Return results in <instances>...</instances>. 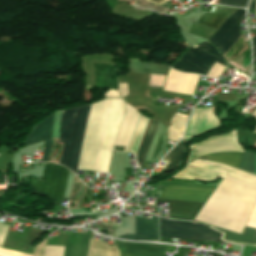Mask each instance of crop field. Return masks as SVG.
Wrapping results in <instances>:
<instances>
[{
    "label": "crop field",
    "instance_id": "crop-field-12",
    "mask_svg": "<svg viewBox=\"0 0 256 256\" xmlns=\"http://www.w3.org/2000/svg\"><path fill=\"white\" fill-rule=\"evenodd\" d=\"M155 202L167 203L169 208L168 218L190 220L198 212L203 203L162 200L156 199Z\"/></svg>",
    "mask_w": 256,
    "mask_h": 256
},
{
    "label": "crop field",
    "instance_id": "crop-field-20",
    "mask_svg": "<svg viewBox=\"0 0 256 256\" xmlns=\"http://www.w3.org/2000/svg\"><path fill=\"white\" fill-rule=\"evenodd\" d=\"M186 140H181L174 148L168 152V156L163 158V161L169 162L162 173L172 171L175 166L181 161L184 154V143Z\"/></svg>",
    "mask_w": 256,
    "mask_h": 256
},
{
    "label": "crop field",
    "instance_id": "crop-field-4",
    "mask_svg": "<svg viewBox=\"0 0 256 256\" xmlns=\"http://www.w3.org/2000/svg\"><path fill=\"white\" fill-rule=\"evenodd\" d=\"M160 237L219 242L221 234L203 224L160 219Z\"/></svg>",
    "mask_w": 256,
    "mask_h": 256
},
{
    "label": "crop field",
    "instance_id": "crop-field-1",
    "mask_svg": "<svg viewBox=\"0 0 256 256\" xmlns=\"http://www.w3.org/2000/svg\"><path fill=\"white\" fill-rule=\"evenodd\" d=\"M123 109L122 99L91 104L77 169L107 172Z\"/></svg>",
    "mask_w": 256,
    "mask_h": 256
},
{
    "label": "crop field",
    "instance_id": "crop-field-37",
    "mask_svg": "<svg viewBox=\"0 0 256 256\" xmlns=\"http://www.w3.org/2000/svg\"><path fill=\"white\" fill-rule=\"evenodd\" d=\"M255 174H256V165H255Z\"/></svg>",
    "mask_w": 256,
    "mask_h": 256
},
{
    "label": "crop field",
    "instance_id": "crop-field-35",
    "mask_svg": "<svg viewBox=\"0 0 256 256\" xmlns=\"http://www.w3.org/2000/svg\"><path fill=\"white\" fill-rule=\"evenodd\" d=\"M251 116H254L256 118V109H254L251 113ZM253 132H256V131H253Z\"/></svg>",
    "mask_w": 256,
    "mask_h": 256
},
{
    "label": "crop field",
    "instance_id": "crop-field-36",
    "mask_svg": "<svg viewBox=\"0 0 256 256\" xmlns=\"http://www.w3.org/2000/svg\"><path fill=\"white\" fill-rule=\"evenodd\" d=\"M120 253H121V256H134V255L126 254V253H123V252H120Z\"/></svg>",
    "mask_w": 256,
    "mask_h": 256
},
{
    "label": "crop field",
    "instance_id": "crop-field-23",
    "mask_svg": "<svg viewBox=\"0 0 256 256\" xmlns=\"http://www.w3.org/2000/svg\"><path fill=\"white\" fill-rule=\"evenodd\" d=\"M43 232H44V231L30 228L22 249L25 250V251L29 250L30 247L32 246L33 242H34Z\"/></svg>",
    "mask_w": 256,
    "mask_h": 256
},
{
    "label": "crop field",
    "instance_id": "crop-field-2",
    "mask_svg": "<svg viewBox=\"0 0 256 256\" xmlns=\"http://www.w3.org/2000/svg\"><path fill=\"white\" fill-rule=\"evenodd\" d=\"M89 106L84 105L63 110L60 141L63 143L59 164L68 167L74 174L78 163Z\"/></svg>",
    "mask_w": 256,
    "mask_h": 256
},
{
    "label": "crop field",
    "instance_id": "crop-field-17",
    "mask_svg": "<svg viewBox=\"0 0 256 256\" xmlns=\"http://www.w3.org/2000/svg\"><path fill=\"white\" fill-rule=\"evenodd\" d=\"M129 71L165 75L168 66L162 64L146 63L142 60H128ZM144 68L148 72H144Z\"/></svg>",
    "mask_w": 256,
    "mask_h": 256
},
{
    "label": "crop field",
    "instance_id": "crop-field-31",
    "mask_svg": "<svg viewBox=\"0 0 256 256\" xmlns=\"http://www.w3.org/2000/svg\"><path fill=\"white\" fill-rule=\"evenodd\" d=\"M104 97H120L117 91L109 90L104 93Z\"/></svg>",
    "mask_w": 256,
    "mask_h": 256
},
{
    "label": "crop field",
    "instance_id": "crop-field-16",
    "mask_svg": "<svg viewBox=\"0 0 256 256\" xmlns=\"http://www.w3.org/2000/svg\"><path fill=\"white\" fill-rule=\"evenodd\" d=\"M212 227V226H210ZM222 233H224L223 238L224 240H228V241H232V242H236V243H250V244H256V242H254L255 238H256V229H251V228H247L245 227L242 234H236V233H232L223 229H219L216 227H212Z\"/></svg>",
    "mask_w": 256,
    "mask_h": 256
},
{
    "label": "crop field",
    "instance_id": "crop-field-9",
    "mask_svg": "<svg viewBox=\"0 0 256 256\" xmlns=\"http://www.w3.org/2000/svg\"><path fill=\"white\" fill-rule=\"evenodd\" d=\"M212 191L213 189L208 188L166 185L160 198L205 202Z\"/></svg>",
    "mask_w": 256,
    "mask_h": 256
},
{
    "label": "crop field",
    "instance_id": "crop-field-25",
    "mask_svg": "<svg viewBox=\"0 0 256 256\" xmlns=\"http://www.w3.org/2000/svg\"><path fill=\"white\" fill-rule=\"evenodd\" d=\"M200 46L203 51L225 61V59L219 54V52L215 49V47L212 44H210L208 41L200 43Z\"/></svg>",
    "mask_w": 256,
    "mask_h": 256
},
{
    "label": "crop field",
    "instance_id": "crop-field-28",
    "mask_svg": "<svg viewBox=\"0 0 256 256\" xmlns=\"http://www.w3.org/2000/svg\"><path fill=\"white\" fill-rule=\"evenodd\" d=\"M165 76L150 75L149 86L162 87Z\"/></svg>",
    "mask_w": 256,
    "mask_h": 256
},
{
    "label": "crop field",
    "instance_id": "crop-field-22",
    "mask_svg": "<svg viewBox=\"0 0 256 256\" xmlns=\"http://www.w3.org/2000/svg\"><path fill=\"white\" fill-rule=\"evenodd\" d=\"M149 120L150 119L144 117L143 115H140L136 130L128 151L134 152L135 154H137L138 148L142 141V138L147 128Z\"/></svg>",
    "mask_w": 256,
    "mask_h": 256
},
{
    "label": "crop field",
    "instance_id": "crop-field-5",
    "mask_svg": "<svg viewBox=\"0 0 256 256\" xmlns=\"http://www.w3.org/2000/svg\"><path fill=\"white\" fill-rule=\"evenodd\" d=\"M191 152L187 162L203 155L222 151H239L243 152L241 146L237 144L235 131L223 135L209 137L198 143L189 146ZM186 162V163H187Z\"/></svg>",
    "mask_w": 256,
    "mask_h": 256
},
{
    "label": "crop field",
    "instance_id": "crop-field-33",
    "mask_svg": "<svg viewBox=\"0 0 256 256\" xmlns=\"http://www.w3.org/2000/svg\"><path fill=\"white\" fill-rule=\"evenodd\" d=\"M248 9L255 10V0H251V1H250V5H249V8H248Z\"/></svg>",
    "mask_w": 256,
    "mask_h": 256
},
{
    "label": "crop field",
    "instance_id": "crop-field-15",
    "mask_svg": "<svg viewBox=\"0 0 256 256\" xmlns=\"http://www.w3.org/2000/svg\"><path fill=\"white\" fill-rule=\"evenodd\" d=\"M87 256H119V251L115 245L109 247L105 242L90 238Z\"/></svg>",
    "mask_w": 256,
    "mask_h": 256
},
{
    "label": "crop field",
    "instance_id": "crop-field-27",
    "mask_svg": "<svg viewBox=\"0 0 256 256\" xmlns=\"http://www.w3.org/2000/svg\"><path fill=\"white\" fill-rule=\"evenodd\" d=\"M247 2H248V0H218L217 4L237 6V7L245 8Z\"/></svg>",
    "mask_w": 256,
    "mask_h": 256
},
{
    "label": "crop field",
    "instance_id": "crop-field-3",
    "mask_svg": "<svg viewBox=\"0 0 256 256\" xmlns=\"http://www.w3.org/2000/svg\"><path fill=\"white\" fill-rule=\"evenodd\" d=\"M67 177L68 170L47 163L42 181L31 177L29 188L32 193L47 197L51 204L61 206Z\"/></svg>",
    "mask_w": 256,
    "mask_h": 256
},
{
    "label": "crop field",
    "instance_id": "crop-field-19",
    "mask_svg": "<svg viewBox=\"0 0 256 256\" xmlns=\"http://www.w3.org/2000/svg\"><path fill=\"white\" fill-rule=\"evenodd\" d=\"M157 123L158 122L155 121V120H152V119L150 120L148 128L146 130V133L144 135L143 141H142L141 146L139 148L138 154L136 156V160H137L140 168H142V165L144 163V160H145L147 151L149 149L154 131H155L156 126H157Z\"/></svg>",
    "mask_w": 256,
    "mask_h": 256
},
{
    "label": "crop field",
    "instance_id": "crop-field-29",
    "mask_svg": "<svg viewBox=\"0 0 256 256\" xmlns=\"http://www.w3.org/2000/svg\"><path fill=\"white\" fill-rule=\"evenodd\" d=\"M46 240L34 247L33 256H44Z\"/></svg>",
    "mask_w": 256,
    "mask_h": 256
},
{
    "label": "crop field",
    "instance_id": "crop-field-26",
    "mask_svg": "<svg viewBox=\"0 0 256 256\" xmlns=\"http://www.w3.org/2000/svg\"><path fill=\"white\" fill-rule=\"evenodd\" d=\"M64 247L46 246L45 256H62Z\"/></svg>",
    "mask_w": 256,
    "mask_h": 256
},
{
    "label": "crop field",
    "instance_id": "crop-field-6",
    "mask_svg": "<svg viewBox=\"0 0 256 256\" xmlns=\"http://www.w3.org/2000/svg\"><path fill=\"white\" fill-rule=\"evenodd\" d=\"M215 61L226 66L224 61L204 53L197 44L191 46L187 53L176 61L173 68L182 72L206 75Z\"/></svg>",
    "mask_w": 256,
    "mask_h": 256
},
{
    "label": "crop field",
    "instance_id": "crop-field-10",
    "mask_svg": "<svg viewBox=\"0 0 256 256\" xmlns=\"http://www.w3.org/2000/svg\"><path fill=\"white\" fill-rule=\"evenodd\" d=\"M53 113L34 125L32 131L27 134L25 146L44 140L45 147L41 161H47L52 134Z\"/></svg>",
    "mask_w": 256,
    "mask_h": 256
},
{
    "label": "crop field",
    "instance_id": "crop-field-8",
    "mask_svg": "<svg viewBox=\"0 0 256 256\" xmlns=\"http://www.w3.org/2000/svg\"><path fill=\"white\" fill-rule=\"evenodd\" d=\"M214 111L215 107L195 108L187 125L184 138H191L218 127L219 122L214 116Z\"/></svg>",
    "mask_w": 256,
    "mask_h": 256
},
{
    "label": "crop field",
    "instance_id": "crop-field-14",
    "mask_svg": "<svg viewBox=\"0 0 256 256\" xmlns=\"http://www.w3.org/2000/svg\"><path fill=\"white\" fill-rule=\"evenodd\" d=\"M172 177L212 181L217 177L224 178L225 175H222L217 172L209 171V170H204V169L195 168L191 166H185L183 170L177 172Z\"/></svg>",
    "mask_w": 256,
    "mask_h": 256
},
{
    "label": "crop field",
    "instance_id": "crop-field-38",
    "mask_svg": "<svg viewBox=\"0 0 256 256\" xmlns=\"http://www.w3.org/2000/svg\"><path fill=\"white\" fill-rule=\"evenodd\" d=\"M254 67H256V64H255V66Z\"/></svg>",
    "mask_w": 256,
    "mask_h": 256
},
{
    "label": "crop field",
    "instance_id": "crop-field-30",
    "mask_svg": "<svg viewBox=\"0 0 256 256\" xmlns=\"http://www.w3.org/2000/svg\"><path fill=\"white\" fill-rule=\"evenodd\" d=\"M0 252H4V253L11 254L14 256H32L30 254L18 253V252L10 251V250L3 249V248H0ZM4 253H0V256H10V255L4 254Z\"/></svg>",
    "mask_w": 256,
    "mask_h": 256
},
{
    "label": "crop field",
    "instance_id": "crop-field-21",
    "mask_svg": "<svg viewBox=\"0 0 256 256\" xmlns=\"http://www.w3.org/2000/svg\"><path fill=\"white\" fill-rule=\"evenodd\" d=\"M185 117L174 115V117L171 120V124L167 128L168 131V139L177 142L184 131L185 123H186Z\"/></svg>",
    "mask_w": 256,
    "mask_h": 256
},
{
    "label": "crop field",
    "instance_id": "crop-field-7",
    "mask_svg": "<svg viewBox=\"0 0 256 256\" xmlns=\"http://www.w3.org/2000/svg\"><path fill=\"white\" fill-rule=\"evenodd\" d=\"M244 13L245 10L239 8L229 18H227L215 34L208 39L217 47L222 55L230 49L241 35L238 19H244Z\"/></svg>",
    "mask_w": 256,
    "mask_h": 256
},
{
    "label": "crop field",
    "instance_id": "crop-field-13",
    "mask_svg": "<svg viewBox=\"0 0 256 256\" xmlns=\"http://www.w3.org/2000/svg\"><path fill=\"white\" fill-rule=\"evenodd\" d=\"M235 10V8L213 5L210 12H201L196 23L207 28L216 30L221 22Z\"/></svg>",
    "mask_w": 256,
    "mask_h": 256
},
{
    "label": "crop field",
    "instance_id": "crop-field-11",
    "mask_svg": "<svg viewBox=\"0 0 256 256\" xmlns=\"http://www.w3.org/2000/svg\"><path fill=\"white\" fill-rule=\"evenodd\" d=\"M118 238L158 241V218L151 215V219H135V235L125 234Z\"/></svg>",
    "mask_w": 256,
    "mask_h": 256
},
{
    "label": "crop field",
    "instance_id": "crop-field-24",
    "mask_svg": "<svg viewBox=\"0 0 256 256\" xmlns=\"http://www.w3.org/2000/svg\"><path fill=\"white\" fill-rule=\"evenodd\" d=\"M236 134H237V136H240V142L243 143L244 150H246V145H245V138L246 137H248V146L254 147L252 134H251L250 131H244L242 129H236Z\"/></svg>",
    "mask_w": 256,
    "mask_h": 256
},
{
    "label": "crop field",
    "instance_id": "crop-field-18",
    "mask_svg": "<svg viewBox=\"0 0 256 256\" xmlns=\"http://www.w3.org/2000/svg\"><path fill=\"white\" fill-rule=\"evenodd\" d=\"M242 154L243 153H239V152H222V153L204 155L199 158L224 163L233 168L238 169Z\"/></svg>",
    "mask_w": 256,
    "mask_h": 256
},
{
    "label": "crop field",
    "instance_id": "crop-field-32",
    "mask_svg": "<svg viewBox=\"0 0 256 256\" xmlns=\"http://www.w3.org/2000/svg\"><path fill=\"white\" fill-rule=\"evenodd\" d=\"M252 44H253V56H254V63H253V65H254L256 63V37L252 40Z\"/></svg>",
    "mask_w": 256,
    "mask_h": 256
},
{
    "label": "crop field",
    "instance_id": "crop-field-34",
    "mask_svg": "<svg viewBox=\"0 0 256 256\" xmlns=\"http://www.w3.org/2000/svg\"><path fill=\"white\" fill-rule=\"evenodd\" d=\"M147 1H151V2H153V3H155V4H158V5H160V4H162L164 1H166V0H147Z\"/></svg>",
    "mask_w": 256,
    "mask_h": 256
}]
</instances>
